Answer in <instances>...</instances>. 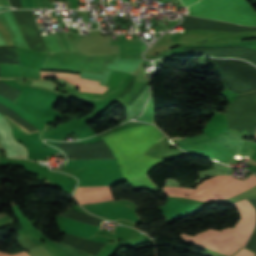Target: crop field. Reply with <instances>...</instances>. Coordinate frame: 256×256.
Wrapping results in <instances>:
<instances>
[{"label":"crop field","mask_w":256,"mask_h":256,"mask_svg":"<svg viewBox=\"0 0 256 256\" xmlns=\"http://www.w3.org/2000/svg\"><path fill=\"white\" fill-rule=\"evenodd\" d=\"M119 132L128 143L144 153L151 145L167 138L152 125L128 128ZM119 132L116 131L102 139L116 157L122 177L131 185L157 189L146 174L153 166L164 161L149 157L133 148Z\"/></svg>","instance_id":"obj_1"},{"label":"crop field","mask_w":256,"mask_h":256,"mask_svg":"<svg viewBox=\"0 0 256 256\" xmlns=\"http://www.w3.org/2000/svg\"><path fill=\"white\" fill-rule=\"evenodd\" d=\"M254 185L256 176L253 174L245 181L222 175L203 181L194 190L164 187L163 191L168 196L186 197L193 190L187 197L208 202L231 198Z\"/></svg>","instance_id":"obj_2"},{"label":"crop field","mask_w":256,"mask_h":256,"mask_svg":"<svg viewBox=\"0 0 256 256\" xmlns=\"http://www.w3.org/2000/svg\"><path fill=\"white\" fill-rule=\"evenodd\" d=\"M188 9L190 16L256 26V12L246 0H201Z\"/></svg>","instance_id":"obj_3"},{"label":"crop field","mask_w":256,"mask_h":256,"mask_svg":"<svg viewBox=\"0 0 256 256\" xmlns=\"http://www.w3.org/2000/svg\"><path fill=\"white\" fill-rule=\"evenodd\" d=\"M181 235L188 242L196 243L227 255H230L241 246L233 235L231 227L220 231L209 229L193 237L186 234Z\"/></svg>","instance_id":"obj_4"},{"label":"crop field","mask_w":256,"mask_h":256,"mask_svg":"<svg viewBox=\"0 0 256 256\" xmlns=\"http://www.w3.org/2000/svg\"><path fill=\"white\" fill-rule=\"evenodd\" d=\"M175 143L184 150L193 152L202 157H210L226 163L235 154V152L213 142L203 134L194 136L192 138L175 141Z\"/></svg>","instance_id":"obj_5"},{"label":"crop field","mask_w":256,"mask_h":256,"mask_svg":"<svg viewBox=\"0 0 256 256\" xmlns=\"http://www.w3.org/2000/svg\"><path fill=\"white\" fill-rule=\"evenodd\" d=\"M232 205L236 207L241 215L240 221L232 229L238 241L242 245L249 237L254 226L255 212L246 199L233 203Z\"/></svg>","instance_id":"obj_6"},{"label":"crop field","mask_w":256,"mask_h":256,"mask_svg":"<svg viewBox=\"0 0 256 256\" xmlns=\"http://www.w3.org/2000/svg\"><path fill=\"white\" fill-rule=\"evenodd\" d=\"M0 143L6 149V155L10 158L27 159L26 148L17 143L11 134L10 125L0 114Z\"/></svg>","instance_id":"obj_7"},{"label":"crop field","mask_w":256,"mask_h":256,"mask_svg":"<svg viewBox=\"0 0 256 256\" xmlns=\"http://www.w3.org/2000/svg\"><path fill=\"white\" fill-rule=\"evenodd\" d=\"M75 197L80 204L114 200L110 186L78 187Z\"/></svg>","instance_id":"obj_8"},{"label":"crop field","mask_w":256,"mask_h":256,"mask_svg":"<svg viewBox=\"0 0 256 256\" xmlns=\"http://www.w3.org/2000/svg\"><path fill=\"white\" fill-rule=\"evenodd\" d=\"M45 77L65 78L66 80L70 81L74 85L80 87V91L103 94L106 89V87L98 85L99 83L98 81L81 79L79 78V75L41 72V78L44 79Z\"/></svg>","instance_id":"obj_9"},{"label":"crop field","mask_w":256,"mask_h":256,"mask_svg":"<svg viewBox=\"0 0 256 256\" xmlns=\"http://www.w3.org/2000/svg\"><path fill=\"white\" fill-rule=\"evenodd\" d=\"M63 242L88 252L94 256H96L98 252L106 245L104 242L82 240L67 234L65 235Z\"/></svg>","instance_id":"obj_10"},{"label":"crop field","mask_w":256,"mask_h":256,"mask_svg":"<svg viewBox=\"0 0 256 256\" xmlns=\"http://www.w3.org/2000/svg\"><path fill=\"white\" fill-rule=\"evenodd\" d=\"M64 218H68L74 221H78L84 224H88L94 227H98L100 226L101 222L100 220H97L95 218H92L90 216L84 215L82 213H79L73 209L67 211L66 213H64L63 215Z\"/></svg>","instance_id":"obj_11"},{"label":"crop field","mask_w":256,"mask_h":256,"mask_svg":"<svg viewBox=\"0 0 256 256\" xmlns=\"http://www.w3.org/2000/svg\"><path fill=\"white\" fill-rule=\"evenodd\" d=\"M253 255H255V254H253V253H251V252H249L248 250H246V249H242V250H240L236 255H234V256H253Z\"/></svg>","instance_id":"obj_12"},{"label":"crop field","mask_w":256,"mask_h":256,"mask_svg":"<svg viewBox=\"0 0 256 256\" xmlns=\"http://www.w3.org/2000/svg\"><path fill=\"white\" fill-rule=\"evenodd\" d=\"M4 116L6 117L7 121L10 122L12 125H14L16 128H18L21 132H23L24 134H29L28 132H26L23 128H21L18 124H16L13 120H11L8 116H6L4 114Z\"/></svg>","instance_id":"obj_13"},{"label":"crop field","mask_w":256,"mask_h":256,"mask_svg":"<svg viewBox=\"0 0 256 256\" xmlns=\"http://www.w3.org/2000/svg\"><path fill=\"white\" fill-rule=\"evenodd\" d=\"M0 256H28V254L26 253V251L20 252V253H16V254H12V255L0 252Z\"/></svg>","instance_id":"obj_14"},{"label":"crop field","mask_w":256,"mask_h":256,"mask_svg":"<svg viewBox=\"0 0 256 256\" xmlns=\"http://www.w3.org/2000/svg\"><path fill=\"white\" fill-rule=\"evenodd\" d=\"M182 1H183L185 6H189V5L197 2L198 0H182Z\"/></svg>","instance_id":"obj_15"},{"label":"crop field","mask_w":256,"mask_h":256,"mask_svg":"<svg viewBox=\"0 0 256 256\" xmlns=\"http://www.w3.org/2000/svg\"><path fill=\"white\" fill-rule=\"evenodd\" d=\"M0 30H6V28L4 27L1 21H0Z\"/></svg>","instance_id":"obj_16"},{"label":"crop field","mask_w":256,"mask_h":256,"mask_svg":"<svg viewBox=\"0 0 256 256\" xmlns=\"http://www.w3.org/2000/svg\"><path fill=\"white\" fill-rule=\"evenodd\" d=\"M0 149L3 151L4 149L0 146Z\"/></svg>","instance_id":"obj_17"}]
</instances>
